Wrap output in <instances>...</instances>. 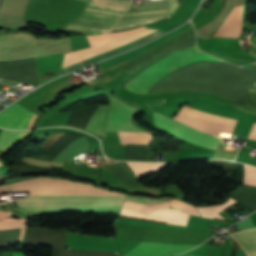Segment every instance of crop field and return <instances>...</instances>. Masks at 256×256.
<instances>
[{"instance_id": "obj_10", "label": "crop field", "mask_w": 256, "mask_h": 256, "mask_svg": "<svg viewBox=\"0 0 256 256\" xmlns=\"http://www.w3.org/2000/svg\"><path fill=\"white\" fill-rule=\"evenodd\" d=\"M110 98V107L108 111V121L107 128L108 131H139L132 126L130 119L136 108L128 107L124 103L112 98ZM148 133V132H147Z\"/></svg>"}, {"instance_id": "obj_7", "label": "crop field", "mask_w": 256, "mask_h": 256, "mask_svg": "<svg viewBox=\"0 0 256 256\" xmlns=\"http://www.w3.org/2000/svg\"><path fill=\"white\" fill-rule=\"evenodd\" d=\"M181 112L189 113L192 115L200 116L203 118L211 119L214 121L222 122V123L233 125V126H235V123H236V120H232V119H228V118H224V117H220V116H216V115H212V114H208V113H204V112H200V111H196V110H192L184 107H182ZM181 112L177 114L174 117V119L194 129L204 132L206 134L217 137L220 131L230 132V133L233 132V129H234L233 126L225 125L222 123L214 122L211 120L203 119L200 117L192 116V115L181 113Z\"/></svg>"}, {"instance_id": "obj_19", "label": "crop field", "mask_w": 256, "mask_h": 256, "mask_svg": "<svg viewBox=\"0 0 256 256\" xmlns=\"http://www.w3.org/2000/svg\"><path fill=\"white\" fill-rule=\"evenodd\" d=\"M237 202L238 201H236L230 197L229 200L222 205L212 206V207H201V208H197V209L199 210L202 217L225 220L221 216H219L217 213L236 204Z\"/></svg>"}, {"instance_id": "obj_26", "label": "crop field", "mask_w": 256, "mask_h": 256, "mask_svg": "<svg viewBox=\"0 0 256 256\" xmlns=\"http://www.w3.org/2000/svg\"><path fill=\"white\" fill-rule=\"evenodd\" d=\"M248 138L256 140V123L253 124Z\"/></svg>"}, {"instance_id": "obj_13", "label": "crop field", "mask_w": 256, "mask_h": 256, "mask_svg": "<svg viewBox=\"0 0 256 256\" xmlns=\"http://www.w3.org/2000/svg\"><path fill=\"white\" fill-rule=\"evenodd\" d=\"M119 216L186 226L190 215L175 209H167L155 210L148 216H145L140 213L122 209Z\"/></svg>"}, {"instance_id": "obj_22", "label": "crop field", "mask_w": 256, "mask_h": 256, "mask_svg": "<svg viewBox=\"0 0 256 256\" xmlns=\"http://www.w3.org/2000/svg\"><path fill=\"white\" fill-rule=\"evenodd\" d=\"M169 199H173L172 197H163V198H147V197H140V196H134V195H127L125 197V200L128 201H134V202H141V203H162L164 201H167Z\"/></svg>"}, {"instance_id": "obj_21", "label": "crop field", "mask_w": 256, "mask_h": 256, "mask_svg": "<svg viewBox=\"0 0 256 256\" xmlns=\"http://www.w3.org/2000/svg\"><path fill=\"white\" fill-rule=\"evenodd\" d=\"M122 207L133 210V211H137L140 213H144V214H147L148 212H150L151 210H154V209L169 208L167 202L162 203V204L148 205V204L127 202V201L124 202Z\"/></svg>"}, {"instance_id": "obj_23", "label": "crop field", "mask_w": 256, "mask_h": 256, "mask_svg": "<svg viewBox=\"0 0 256 256\" xmlns=\"http://www.w3.org/2000/svg\"><path fill=\"white\" fill-rule=\"evenodd\" d=\"M169 203L172 207H175V208H178L180 210L186 211L188 213L200 216L196 207H194L190 204H186V203H183V202L178 201V200H170Z\"/></svg>"}, {"instance_id": "obj_3", "label": "crop field", "mask_w": 256, "mask_h": 256, "mask_svg": "<svg viewBox=\"0 0 256 256\" xmlns=\"http://www.w3.org/2000/svg\"><path fill=\"white\" fill-rule=\"evenodd\" d=\"M130 0H89L78 17L62 28L75 31L110 30L125 13Z\"/></svg>"}, {"instance_id": "obj_9", "label": "crop field", "mask_w": 256, "mask_h": 256, "mask_svg": "<svg viewBox=\"0 0 256 256\" xmlns=\"http://www.w3.org/2000/svg\"><path fill=\"white\" fill-rule=\"evenodd\" d=\"M153 120L156 126L161 127L187 141L198 145H202L215 150L220 141L218 138H213L196 130L185 127L156 113L153 114Z\"/></svg>"}, {"instance_id": "obj_27", "label": "crop field", "mask_w": 256, "mask_h": 256, "mask_svg": "<svg viewBox=\"0 0 256 256\" xmlns=\"http://www.w3.org/2000/svg\"><path fill=\"white\" fill-rule=\"evenodd\" d=\"M0 256H12V252H5ZM13 256H25V254L23 252H13Z\"/></svg>"}, {"instance_id": "obj_6", "label": "crop field", "mask_w": 256, "mask_h": 256, "mask_svg": "<svg viewBox=\"0 0 256 256\" xmlns=\"http://www.w3.org/2000/svg\"><path fill=\"white\" fill-rule=\"evenodd\" d=\"M140 3L132 5L111 30L127 29L167 17L163 0Z\"/></svg>"}, {"instance_id": "obj_11", "label": "crop field", "mask_w": 256, "mask_h": 256, "mask_svg": "<svg viewBox=\"0 0 256 256\" xmlns=\"http://www.w3.org/2000/svg\"><path fill=\"white\" fill-rule=\"evenodd\" d=\"M196 246L198 245L141 242L124 256H168L182 253Z\"/></svg>"}, {"instance_id": "obj_28", "label": "crop field", "mask_w": 256, "mask_h": 256, "mask_svg": "<svg viewBox=\"0 0 256 256\" xmlns=\"http://www.w3.org/2000/svg\"><path fill=\"white\" fill-rule=\"evenodd\" d=\"M180 256H199V255H194V254H188V253H185V254L180 255Z\"/></svg>"}, {"instance_id": "obj_16", "label": "crop field", "mask_w": 256, "mask_h": 256, "mask_svg": "<svg viewBox=\"0 0 256 256\" xmlns=\"http://www.w3.org/2000/svg\"><path fill=\"white\" fill-rule=\"evenodd\" d=\"M245 250H256V228L232 233ZM249 256H256V251H246Z\"/></svg>"}, {"instance_id": "obj_12", "label": "crop field", "mask_w": 256, "mask_h": 256, "mask_svg": "<svg viewBox=\"0 0 256 256\" xmlns=\"http://www.w3.org/2000/svg\"><path fill=\"white\" fill-rule=\"evenodd\" d=\"M25 109L16 103L7 108L0 114V127L7 129L27 128L33 113ZM36 117L37 115L34 114L28 128L33 126Z\"/></svg>"}, {"instance_id": "obj_25", "label": "crop field", "mask_w": 256, "mask_h": 256, "mask_svg": "<svg viewBox=\"0 0 256 256\" xmlns=\"http://www.w3.org/2000/svg\"><path fill=\"white\" fill-rule=\"evenodd\" d=\"M168 17L171 16L178 8L177 0H164Z\"/></svg>"}, {"instance_id": "obj_17", "label": "crop field", "mask_w": 256, "mask_h": 256, "mask_svg": "<svg viewBox=\"0 0 256 256\" xmlns=\"http://www.w3.org/2000/svg\"><path fill=\"white\" fill-rule=\"evenodd\" d=\"M107 108L108 106H99L91 116L85 129L104 136Z\"/></svg>"}, {"instance_id": "obj_15", "label": "crop field", "mask_w": 256, "mask_h": 256, "mask_svg": "<svg viewBox=\"0 0 256 256\" xmlns=\"http://www.w3.org/2000/svg\"><path fill=\"white\" fill-rule=\"evenodd\" d=\"M33 45H35V38L26 32L0 36V49Z\"/></svg>"}, {"instance_id": "obj_2", "label": "crop field", "mask_w": 256, "mask_h": 256, "mask_svg": "<svg viewBox=\"0 0 256 256\" xmlns=\"http://www.w3.org/2000/svg\"><path fill=\"white\" fill-rule=\"evenodd\" d=\"M198 61L225 62L200 52L197 47L191 48L156 62L126 83L125 88L135 93H146L170 73Z\"/></svg>"}, {"instance_id": "obj_5", "label": "crop field", "mask_w": 256, "mask_h": 256, "mask_svg": "<svg viewBox=\"0 0 256 256\" xmlns=\"http://www.w3.org/2000/svg\"><path fill=\"white\" fill-rule=\"evenodd\" d=\"M150 31H152V30L151 29H145V30H143L141 32H138V33H136L134 35L126 37V38H124L122 40H119V41H117L115 43H112V44H109V45H106V46H103V47L91 50L89 52L83 53L81 55L75 56L73 58L67 59V60H65L63 62L62 68L66 67L68 65L80 62L82 60L91 58V57H93V56H95L97 54H100V53H102L104 51H107V50H109V49H111L113 47H116V46H118V45H120L122 43H125V42H127L129 40H132V39H134V38H136L138 36H141V35H143L145 33H148ZM162 33H164V31L154 30V31H152V32H150V33H148V34H146L144 36H141V37H139V38H137V39H135V40H133L131 42H128V43H126V44H124V45H122V46H120L118 48H113V49H111V50H109L107 52H104V53H102L100 55H97V56H95V57H93L91 59H88V60H85L83 62L71 65V66L66 67V68H63L62 69V74L66 73V72H68L70 70L82 67L83 65H87V64H90L92 62L98 61L100 59L106 58L108 56L114 55L116 53L123 52V51H125V50H127L129 48L136 47V46H138V45H140V44H142V43H144V42H146V41H148V40H150V39H152V38H154V37H156V36H158V35H160Z\"/></svg>"}, {"instance_id": "obj_14", "label": "crop field", "mask_w": 256, "mask_h": 256, "mask_svg": "<svg viewBox=\"0 0 256 256\" xmlns=\"http://www.w3.org/2000/svg\"><path fill=\"white\" fill-rule=\"evenodd\" d=\"M242 8L243 5L234 7L214 36L239 38L242 32Z\"/></svg>"}, {"instance_id": "obj_1", "label": "crop field", "mask_w": 256, "mask_h": 256, "mask_svg": "<svg viewBox=\"0 0 256 256\" xmlns=\"http://www.w3.org/2000/svg\"><path fill=\"white\" fill-rule=\"evenodd\" d=\"M30 191L25 200H16L18 206H122L124 195L68 180L35 178L0 186V192ZM120 207H19L29 213L67 211H119Z\"/></svg>"}, {"instance_id": "obj_18", "label": "crop field", "mask_w": 256, "mask_h": 256, "mask_svg": "<svg viewBox=\"0 0 256 256\" xmlns=\"http://www.w3.org/2000/svg\"><path fill=\"white\" fill-rule=\"evenodd\" d=\"M1 133V132H0ZM30 131H7L2 130L0 135V150H6L10 145L28 136Z\"/></svg>"}, {"instance_id": "obj_8", "label": "crop field", "mask_w": 256, "mask_h": 256, "mask_svg": "<svg viewBox=\"0 0 256 256\" xmlns=\"http://www.w3.org/2000/svg\"><path fill=\"white\" fill-rule=\"evenodd\" d=\"M64 134L66 133L54 132L50 136V138L43 145H41V147L47 149L53 143H55L59 138H61ZM87 149H88L87 140L86 138L82 137L50 160L39 158V157H33V158L23 157V160L32 165L47 166V167L55 168V166H62L63 162H71V160L77 154Z\"/></svg>"}, {"instance_id": "obj_24", "label": "crop field", "mask_w": 256, "mask_h": 256, "mask_svg": "<svg viewBox=\"0 0 256 256\" xmlns=\"http://www.w3.org/2000/svg\"><path fill=\"white\" fill-rule=\"evenodd\" d=\"M245 167V180L244 184L249 186H256V168L244 165Z\"/></svg>"}, {"instance_id": "obj_4", "label": "crop field", "mask_w": 256, "mask_h": 256, "mask_svg": "<svg viewBox=\"0 0 256 256\" xmlns=\"http://www.w3.org/2000/svg\"><path fill=\"white\" fill-rule=\"evenodd\" d=\"M21 246H50L53 256H121L110 252L65 249V231L28 228Z\"/></svg>"}, {"instance_id": "obj_20", "label": "crop field", "mask_w": 256, "mask_h": 256, "mask_svg": "<svg viewBox=\"0 0 256 256\" xmlns=\"http://www.w3.org/2000/svg\"><path fill=\"white\" fill-rule=\"evenodd\" d=\"M26 221H27V219H18V220L4 219L2 222H0V231L21 228L20 237H19V240L17 242L3 244V245H0V247L19 243L22 236H23L24 226L26 224Z\"/></svg>"}, {"instance_id": "obj_29", "label": "crop field", "mask_w": 256, "mask_h": 256, "mask_svg": "<svg viewBox=\"0 0 256 256\" xmlns=\"http://www.w3.org/2000/svg\"><path fill=\"white\" fill-rule=\"evenodd\" d=\"M115 163H118V162H115ZM107 164H110V163H107Z\"/></svg>"}]
</instances>
